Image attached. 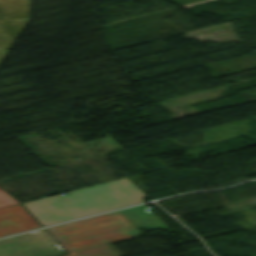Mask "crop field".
Returning a JSON list of instances; mask_svg holds the SVG:
<instances>
[{"instance_id": "1", "label": "crop field", "mask_w": 256, "mask_h": 256, "mask_svg": "<svg viewBox=\"0 0 256 256\" xmlns=\"http://www.w3.org/2000/svg\"><path fill=\"white\" fill-rule=\"evenodd\" d=\"M146 196L127 178L23 204L43 225H50L139 202Z\"/></svg>"}, {"instance_id": "2", "label": "crop field", "mask_w": 256, "mask_h": 256, "mask_svg": "<svg viewBox=\"0 0 256 256\" xmlns=\"http://www.w3.org/2000/svg\"><path fill=\"white\" fill-rule=\"evenodd\" d=\"M47 230L70 253L64 256H122L106 243L142 234L120 211Z\"/></svg>"}, {"instance_id": "3", "label": "crop field", "mask_w": 256, "mask_h": 256, "mask_svg": "<svg viewBox=\"0 0 256 256\" xmlns=\"http://www.w3.org/2000/svg\"><path fill=\"white\" fill-rule=\"evenodd\" d=\"M59 254L38 231L0 240V256H54Z\"/></svg>"}, {"instance_id": "4", "label": "crop field", "mask_w": 256, "mask_h": 256, "mask_svg": "<svg viewBox=\"0 0 256 256\" xmlns=\"http://www.w3.org/2000/svg\"><path fill=\"white\" fill-rule=\"evenodd\" d=\"M40 226L20 204L0 209V236Z\"/></svg>"}, {"instance_id": "5", "label": "crop field", "mask_w": 256, "mask_h": 256, "mask_svg": "<svg viewBox=\"0 0 256 256\" xmlns=\"http://www.w3.org/2000/svg\"><path fill=\"white\" fill-rule=\"evenodd\" d=\"M146 206L140 205L136 207L126 208L120 210L136 227H145L149 229L167 227L157 219Z\"/></svg>"}, {"instance_id": "6", "label": "crop field", "mask_w": 256, "mask_h": 256, "mask_svg": "<svg viewBox=\"0 0 256 256\" xmlns=\"http://www.w3.org/2000/svg\"><path fill=\"white\" fill-rule=\"evenodd\" d=\"M19 203L2 189H0V208Z\"/></svg>"}, {"instance_id": "7", "label": "crop field", "mask_w": 256, "mask_h": 256, "mask_svg": "<svg viewBox=\"0 0 256 256\" xmlns=\"http://www.w3.org/2000/svg\"><path fill=\"white\" fill-rule=\"evenodd\" d=\"M61 254L65 253L62 248L44 230L39 231Z\"/></svg>"}]
</instances>
